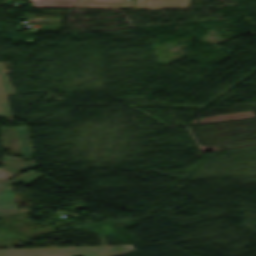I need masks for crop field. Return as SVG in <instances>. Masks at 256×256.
<instances>
[{
    "mask_svg": "<svg viewBox=\"0 0 256 256\" xmlns=\"http://www.w3.org/2000/svg\"><path fill=\"white\" fill-rule=\"evenodd\" d=\"M0 117L12 118L9 110L8 102L0 99Z\"/></svg>",
    "mask_w": 256,
    "mask_h": 256,
    "instance_id": "3",
    "label": "crop field"
},
{
    "mask_svg": "<svg viewBox=\"0 0 256 256\" xmlns=\"http://www.w3.org/2000/svg\"><path fill=\"white\" fill-rule=\"evenodd\" d=\"M3 63H0V94L13 93L3 69Z\"/></svg>",
    "mask_w": 256,
    "mask_h": 256,
    "instance_id": "2",
    "label": "crop field"
},
{
    "mask_svg": "<svg viewBox=\"0 0 256 256\" xmlns=\"http://www.w3.org/2000/svg\"><path fill=\"white\" fill-rule=\"evenodd\" d=\"M74 7L132 8L131 0H78Z\"/></svg>",
    "mask_w": 256,
    "mask_h": 256,
    "instance_id": "1",
    "label": "crop field"
}]
</instances>
